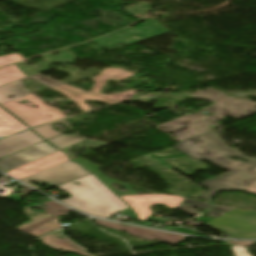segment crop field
Here are the masks:
<instances>
[{"label": "crop field", "mask_w": 256, "mask_h": 256, "mask_svg": "<svg viewBox=\"0 0 256 256\" xmlns=\"http://www.w3.org/2000/svg\"><path fill=\"white\" fill-rule=\"evenodd\" d=\"M8 179H9V178H7V177L4 176V177L0 178V181H2V180L8 181Z\"/></svg>", "instance_id": "d32e631a"}, {"label": "crop field", "mask_w": 256, "mask_h": 256, "mask_svg": "<svg viewBox=\"0 0 256 256\" xmlns=\"http://www.w3.org/2000/svg\"><path fill=\"white\" fill-rule=\"evenodd\" d=\"M235 208L233 207H225V206H218L214 205L212 209L208 212L211 217L217 218Z\"/></svg>", "instance_id": "eef30255"}, {"label": "crop field", "mask_w": 256, "mask_h": 256, "mask_svg": "<svg viewBox=\"0 0 256 256\" xmlns=\"http://www.w3.org/2000/svg\"><path fill=\"white\" fill-rule=\"evenodd\" d=\"M24 129L27 127L0 108V136L10 135Z\"/></svg>", "instance_id": "4a817a6b"}, {"label": "crop field", "mask_w": 256, "mask_h": 256, "mask_svg": "<svg viewBox=\"0 0 256 256\" xmlns=\"http://www.w3.org/2000/svg\"><path fill=\"white\" fill-rule=\"evenodd\" d=\"M125 200V202L132 207L137 213L141 220H146L147 217L152 214L149 207L151 204L159 203L165 204L169 208H176L180 202L184 199L182 197H174L167 195H130V196H120Z\"/></svg>", "instance_id": "3316defc"}, {"label": "crop field", "mask_w": 256, "mask_h": 256, "mask_svg": "<svg viewBox=\"0 0 256 256\" xmlns=\"http://www.w3.org/2000/svg\"><path fill=\"white\" fill-rule=\"evenodd\" d=\"M149 5H150L149 3L141 2L139 4H136L134 6L124 9V11L128 12L129 14H131L133 16H135L139 13H142V15L140 17V18H142L146 15L145 12L150 10V8L148 7ZM140 18H138V19H140Z\"/></svg>", "instance_id": "4177f3b9"}, {"label": "crop field", "mask_w": 256, "mask_h": 256, "mask_svg": "<svg viewBox=\"0 0 256 256\" xmlns=\"http://www.w3.org/2000/svg\"><path fill=\"white\" fill-rule=\"evenodd\" d=\"M83 140H86V138H84L80 135H76V134H74V135H64V134H61V135H59L55 138H52L48 141L62 150L64 148L68 147V146H71V145L76 144L78 142H81Z\"/></svg>", "instance_id": "92a150f3"}, {"label": "crop field", "mask_w": 256, "mask_h": 256, "mask_svg": "<svg viewBox=\"0 0 256 256\" xmlns=\"http://www.w3.org/2000/svg\"><path fill=\"white\" fill-rule=\"evenodd\" d=\"M206 225L235 238H256V211L235 209Z\"/></svg>", "instance_id": "412701ff"}, {"label": "crop field", "mask_w": 256, "mask_h": 256, "mask_svg": "<svg viewBox=\"0 0 256 256\" xmlns=\"http://www.w3.org/2000/svg\"><path fill=\"white\" fill-rule=\"evenodd\" d=\"M175 149L201 160L206 159L218 167L230 170L229 174H221L200 185L209 188L200 198H210L219 191L239 190L256 194V159L241 154L238 148L231 149L223 139L211 130L194 137L179 141ZM228 157L245 158L248 163L232 160Z\"/></svg>", "instance_id": "8a807250"}, {"label": "crop field", "mask_w": 256, "mask_h": 256, "mask_svg": "<svg viewBox=\"0 0 256 256\" xmlns=\"http://www.w3.org/2000/svg\"><path fill=\"white\" fill-rule=\"evenodd\" d=\"M74 160L79 161V162H80L81 164H83L87 169H89V170L95 172V173H96L106 184H108L109 186H110V183H113V182L120 183V182H118V181H115V180L110 179V178L106 177L105 175H103V174L99 171V169H100L101 166H99V165H93V164H91L90 162H88L87 160H85V159H83V158H76V159H74ZM120 184H122V183H120ZM123 185L130 191L129 193H121V192L115 190L114 188H112L111 186H110V187H111L118 195L136 194V193L131 189V187H130L129 185H126V184H123Z\"/></svg>", "instance_id": "214f88e0"}, {"label": "crop field", "mask_w": 256, "mask_h": 256, "mask_svg": "<svg viewBox=\"0 0 256 256\" xmlns=\"http://www.w3.org/2000/svg\"><path fill=\"white\" fill-rule=\"evenodd\" d=\"M42 240H44L42 243L56 251H59V249H62V251L60 252H65V251H69V252H73V253H77V254H81V255H85V256H92L86 252H83L79 249H77L76 247L70 245L69 243L59 239L58 237L50 234L46 237L41 238Z\"/></svg>", "instance_id": "bc2a9ffb"}, {"label": "crop field", "mask_w": 256, "mask_h": 256, "mask_svg": "<svg viewBox=\"0 0 256 256\" xmlns=\"http://www.w3.org/2000/svg\"><path fill=\"white\" fill-rule=\"evenodd\" d=\"M194 206L209 209L212 205L211 204H204V203H201V202L196 201V200L185 198L182 201V203L178 206V208H181L184 212L194 216L196 213L199 212V211H197L196 209L193 208Z\"/></svg>", "instance_id": "00972430"}, {"label": "crop field", "mask_w": 256, "mask_h": 256, "mask_svg": "<svg viewBox=\"0 0 256 256\" xmlns=\"http://www.w3.org/2000/svg\"><path fill=\"white\" fill-rule=\"evenodd\" d=\"M43 205L47 206L46 208L41 207L45 209L44 212H46V215H44L43 213H36L28 209V207H24L25 213L27 216L30 217L31 221L29 223H23L15 228L19 231L39 237L43 234L52 232L62 227L61 226L62 224L58 223L60 218H58L57 216L67 215L65 213L71 210L52 200L49 201L48 203H44ZM60 211H62L63 213H59ZM51 215H54V216L52 217Z\"/></svg>", "instance_id": "f4fd0767"}, {"label": "crop field", "mask_w": 256, "mask_h": 256, "mask_svg": "<svg viewBox=\"0 0 256 256\" xmlns=\"http://www.w3.org/2000/svg\"><path fill=\"white\" fill-rule=\"evenodd\" d=\"M21 187L24 188V189H22V190H20V191H22V192H24V193H28V192L32 191L31 189H29V188H27V187H25V186H21Z\"/></svg>", "instance_id": "120bbe31"}, {"label": "crop field", "mask_w": 256, "mask_h": 256, "mask_svg": "<svg viewBox=\"0 0 256 256\" xmlns=\"http://www.w3.org/2000/svg\"><path fill=\"white\" fill-rule=\"evenodd\" d=\"M65 161H68L67 157L61 151H57L36 161L11 170L7 173L18 179H21Z\"/></svg>", "instance_id": "cbeb9de0"}, {"label": "crop field", "mask_w": 256, "mask_h": 256, "mask_svg": "<svg viewBox=\"0 0 256 256\" xmlns=\"http://www.w3.org/2000/svg\"><path fill=\"white\" fill-rule=\"evenodd\" d=\"M193 96H197L200 98L208 99L214 102H218L215 105L205 108V110L215 113L220 111L225 114L236 115L244 117L246 115H250L256 113V102L247 101V100H238L233 97L227 96L225 97L223 92L206 89L205 91H195ZM249 112L245 114L243 112Z\"/></svg>", "instance_id": "e52e79f7"}, {"label": "crop field", "mask_w": 256, "mask_h": 256, "mask_svg": "<svg viewBox=\"0 0 256 256\" xmlns=\"http://www.w3.org/2000/svg\"><path fill=\"white\" fill-rule=\"evenodd\" d=\"M25 76L20 72V70L15 66H10L0 70V85L12 82Z\"/></svg>", "instance_id": "dafd665d"}, {"label": "crop field", "mask_w": 256, "mask_h": 256, "mask_svg": "<svg viewBox=\"0 0 256 256\" xmlns=\"http://www.w3.org/2000/svg\"><path fill=\"white\" fill-rule=\"evenodd\" d=\"M222 116H227V117H233V118H237V119H240L241 117H236V116H230V115H225V114H221V113H216L213 117H211V119H220L222 120L221 118L219 117H222ZM215 121V120H214Z\"/></svg>", "instance_id": "bd1437ed"}, {"label": "crop field", "mask_w": 256, "mask_h": 256, "mask_svg": "<svg viewBox=\"0 0 256 256\" xmlns=\"http://www.w3.org/2000/svg\"><path fill=\"white\" fill-rule=\"evenodd\" d=\"M23 99H26L36 104L31 106H38L40 109L23 106V105H30V104L16 103L17 101L23 100ZM2 106H4L9 111H11L16 116H18L22 121H24L30 127L65 117L60 110L45 106L44 102L41 99L35 97L32 94H30L27 97H23V98L16 99L8 103L2 104ZM48 115H51L52 117H48Z\"/></svg>", "instance_id": "dd49c442"}, {"label": "crop field", "mask_w": 256, "mask_h": 256, "mask_svg": "<svg viewBox=\"0 0 256 256\" xmlns=\"http://www.w3.org/2000/svg\"><path fill=\"white\" fill-rule=\"evenodd\" d=\"M230 243H236V244H240V245H244V246L256 244V242H230Z\"/></svg>", "instance_id": "1d83c4d3"}, {"label": "crop field", "mask_w": 256, "mask_h": 256, "mask_svg": "<svg viewBox=\"0 0 256 256\" xmlns=\"http://www.w3.org/2000/svg\"><path fill=\"white\" fill-rule=\"evenodd\" d=\"M24 60L21 58L19 55L14 54V55H8V56H2L0 57V67L4 65H8L17 61Z\"/></svg>", "instance_id": "d3111659"}, {"label": "crop field", "mask_w": 256, "mask_h": 256, "mask_svg": "<svg viewBox=\"0 0 256 256\" xmlns=\"http://www.w3.org/2000/svg\"><path fill=\"white\" fill-rule=\"evenodd\" d=\"M207 119L210 121V123L206 122ZM210 125L219 126L220 124L207 118V116L198 113L196 115L187 114L160 126L164 128L162 131L165 133L173 130L177 141H179L208 131V126Z\"/></svg>", "instance_id": "5a996713"}, {"label": "crop field", "mask_w": 256, "mask_h": 256, "mask_svg": "<svg viewBox=\"0 0 256 256\" xmlns=\"http://www.w3.org/2000/svg\"><path fill=\"white\" fill-rule=\"evenodd\" d=\"M93 220H95V219H91V221H93ZM95 221H96L95 222L96 224L110 228L112 230L119 231V230L123 229V230L128 231V233L135 235L137 237L151 239V240L158 238V239L163 240L172 245H175L187 238L186 236H180V235L158 232V231L142 229V228H137V227H131V226H124V225H121L119 223H114V222H105V221H100V220H95Z\"/></svg>", "instance_id": "22f410ed"}, {"label": "crop field", "mask_w": 256, "mask_h": 256, "mask_svg": "<svg viewBox=\"0 0 256 256\" xmlns=\"http://www.w3.org/2000/svg\"><path fill=\"white\" fill-rule=\"evenodd\" d=\"M88 174H91V172L85 170L76 163L68 161L66 163L44 170L21 180L35 188L38 187L29 182L34 181L41 183L46 181L51 186L55 187Z\"/></svg>", "instance_id": "d8731c3e"}, {"label": "crop field", "mask_w": 256, "mask_h": 256, "mask_svg": "<svg viewBox=\"0 0 256 256\" xmlns=\"http://www.w3.org/2000/svg\"><path fill=\"white\" fill-rule=\"evenodd\" d=\"M57 151L45 141L0 159V170L7 172L35 159Z\"/></svg>", "instance_id": "28ad6ade"}, {"label": "crop field", "mask_w": 256, "mask_h": 256, "mask_svg": "<svg viewBox=\"0 0 256 256\" xmlns=\"http://www.w3.org/2000/svg\"><path fill=\"white\" fill-rule=\"evenodd\" d=\"M131 73V72H130ZM129 72L114 68H106L101 72V75L94 78L93 80L96 82L92 87L94 93H89V92H84L82 90H79L77 88L67 86V85H61L59 87L54 88L55 90L63 93L64 95L68 96L73 100V102L79 106L84 112L89 111V107L83 102L84 100H99L103 102H107L110 104H115L119 103L125 100L131 99L132 95L134 94L135 91H127V92H122L110 96H104L100 93H98L101 88L103 87L104 83L109 80V79H114V80H123L125 78L133 76Z\"/></svg>", "instance_id": "34b2d1b8"}, {"label": "crop field", "mask_w": 256, "mask_h": 256, "mask_svg": "<svg viewBox=\"0 0 256 256\" xmlns=\"http://www.w3.org/2000/svg\"><path fill=\"white\" fill-rule=\"evenodd\" d=\"M28 78L34 79V80H36V81H38V82H40V83H42V84H44V85H46V86H48V87H52V88H54V87L59 86V85L62 84V83H60V82H58V81L49 79V78H47V77H45V76H42V75H40V74L31 76V77H28ZM25 79H26V78H25Z\"/></svg>", "instance_id": "730fd06b"}, {"label": "crop field", "mask_w": 256, "mask_h": 256, "mask_svg": "<svg viewBox=\"0 0 256 256\" xmlns=\"http://www.w3.org/2000/svg\"><path fill=\"white\" fill-rule=\"evenodd\" d=\"M28 92L30 91L25 88L22 79L12 83L2 85L0 86V104L10 101V99L6 97L8 95H12L16 98H20L23 96H27Z\"/></svg>", "instance_id": "733c2abd"}, {"label": "crop field", "mask_w": 256, "mask_h": 256, "mask_svg": "<svg viewBox=\"0 0 256 256\" xmlns=\"http://www.w3.org/2000/svg\"><path fill=\"white\" fill-rule=\"evenodd\" d=\"M58 122H61L63 124H65L66 126L70 127L71 126L68 124V122L65 120H62V121H58ZM56 123V122H54ZM33 130L35 132H37L40 136H42L44 139L48 140L54 136H57L61 133H57L55 131H53L51 128H50V124H47V125H43V126H40V127H37V128H33Z\"/></svg>", "instance_id": "a9b5d70f"}, {"label": "crop field", "mask_w": 256, "mask_h": 256, "mask_svg": "<svg viewBox=\"0 0 256 256\" xmlns=\"http://www.w3.org/2000/svg\"><path fill=\"white\" fill-rule=\"evenodd\" d=\"M231 249L233 250L235 256H251L244 247L234 246L231 247Z\"/></svg>", "instance_id": "750c4746"}, {"label": "crop field", "mask_w": 256, "mask_h": 256, "mask_svg": "<svg viewBox=\"0 0 256 256\" xmlns=\"http://www.w3.org/2000/svg\"><path fill=\"white\" fill-rule=\"evenodd\" d=\"M73 182H78V186ZM67 191L72 196L61 202L96 217L108 218L128 208L119 197L108 189L94 174L55 187Z\"/></svg>", "instance_id": "ac0d7876"}, {"label": "crop field", "mask_w": 256, "mask_h": 256, "mask_svg": "<svg viewBox=\"0 0 256 256\" xmlns=\"http://www.w3.org/2000/svg\"><path fill=\"white\" fill-rule=\"evenodd\" d=\"M81 143L96 144V145H100V147H102V146H104V145L107 144V143L95 142V141H90V140H86V141L81 142ZM74 146H77V147H84V148H92V149H98V148H100V147H96V146L83 145V144H76V145H74ZM74 146H71V147H69V148L63 150V151H65V152L68 154V156H69L70 158H72V159H74V157H73L68 151H69L72 147H74Z\"/></svg>", "instance_id": "ae1a2a85"}, {"label": "crop field", "mask_w": 256, "mask_h": 256, "mask_svg": "<svg viewBox=\"0 0 256 256\" xmlns=\"http://www.w3.org/2000/svg\"><path fill=\"white\" fill-rule=\"evenodd\" d=\"M43 141L31 130L0 140V158Z\"/></svg>", "instance_id": "5142ce71"}, {"label": "crop field", "mask_w": 256, "mask_h": 256, "mask_svg": "<svg viewBox=\"0 0 256 256\" xmlns=\"http://www.w3.org/2000/svg\"><path fill=\"white\" fill-rule=\"evenodd\" d=\"M152 23H155L156 25H153ZM137 29H141V28L126 29V30L118 32L116 34L109 35L108 37L100 38V39H103L102 41H100V39H97L94 41L99 42L100 43L99 45L102 44V45L110 47V46H112V44L119 42V41L111 39L112 37L123 39L120 42H122L124 44H129V43H131V41H136L133 39L134 37L133 38L129 37L131 35H134L135 37H140L141 40H145V39L169 32L166 28H164L157 21H155L151 18L146 20V23L143 27L144 33H138ZM106 41H108L112 44L109 45V44L105 43Z\"/></svg>", "instance_id": "d1516ede"}, {"label": "crop field", "mask_w": 256, "mask_h": 256, "mask_svg": "<svg viewBox=\"0 0 256 256\" xmlns=\"http://www.w3.org/2000/svg\"><path fill=\"white\" fill-rule=\"evenodd\" d=\"M44 60L46 62H38L35 65L40 66L39 68L35 69L31 66L24 67L21 63L16 64V66L21 70V72L26 76H31L43 71L50 70L47 68L52 62H57V63H64V64H69L74 61L75 57L73 54L63 50L59 52L58 56H53L51 54L43 56Z\"/></svg>", "instance_id": "d9b57169"}]
</instances>
